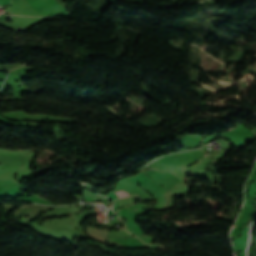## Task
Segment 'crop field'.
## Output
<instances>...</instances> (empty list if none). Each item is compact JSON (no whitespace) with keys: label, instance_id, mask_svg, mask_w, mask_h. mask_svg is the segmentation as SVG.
I'll use <instances>...</instances> for the list:
<instances>
[{"label":"crop field","instance_id":"obj_1","mask_svg":"<svg viewBox=\"0 0 256 256\" xmlns=\"http://www.w3.org/2000/svg\"><path fill=\"white\" fill-rule=\"evenodd\" d=\"M116 194H117V196H118L119 198L126 197V196L130 195V194H127V193H125V192H123V191L116 192Z\"/></svg>","mask_w":256,"mask_h":256}]
</instances>
